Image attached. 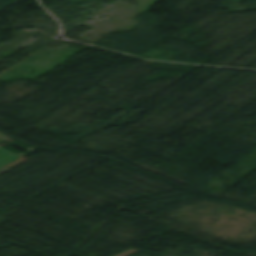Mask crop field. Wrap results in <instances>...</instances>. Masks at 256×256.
Returning <instances> with one entry per match:
<instances>
[{
	"mask_svg": "<svg viewBox=\"0 0 256 256\" xmlns=\"http://www.w3.org/2000/svg\"><path fill=\"white\" fill-rule=\"evenodd\" d=\"M28 159L0 147V174Z\"/></svg>",
	"mask_w": 256,
	"mask_h": 256,
	"instance_id": "obj_1",
	"label": "crop field"
}]
</instances>
